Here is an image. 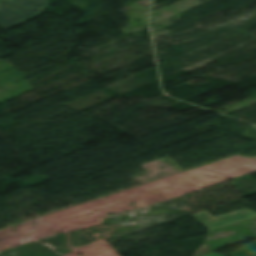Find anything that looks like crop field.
<instances>
[{"label": "crop field", "mask_w": 256, "mask_h": 256, "mask_svg": "<svg viewBox=\"0 0 256 256\" xmlns=\"http://www.w3.org/2000/svg\"><path fill=\"white\" fill-rule=\"evenodd\" d=\"M48 7L47 0H0V26L9 28L38 17Z\"/></svg>", "instance_id": "crop-field-1"}, {"label": "crop field", "mask_w": 256, "mask_h": 256, "mask_svg": "<svg viewBox=\"0 0 256 256\" xmlns=\"http://www.w3.org/2000/svg\"><path fill=\"white\" fill-rule=\"evenodd\" d=\"M193 217L202 225H204L207 229L211 230L232 223L254 218L256 217V213L243 209L213 218L208 213L203 211L201 213L193 215Z\"/></svg>", "instance_id": "crop-field-2"}, {"label": "crop field", "mask_w": 256, "mask_h": 256, "mask_svg": "<svg viewBox=\"0 0 256 256\" xmlns=\"http://www.w3.org/2000/svg\"><path fill=\"white\" fill-rule=\"evenodd\" d=\"M233 256H256V243L247 248L235 253Z\"/></svg>", "instance_id": "crop-field-3"}, {"label": "crop field", "mask_w": 256, "mask_h": 256, "mask_svg": "<svg viewBox=\"0 0 256 256\" xmlns=\"http://www.w3.org/2000/svg\"><path fill=\"white\" fill-rule=\"evenodd\" d=\"M206 256H223V255H219V254L211 253V254L206 255Z\"/></svg>", "instance_id": "crop-field-4"}]
</instances>
